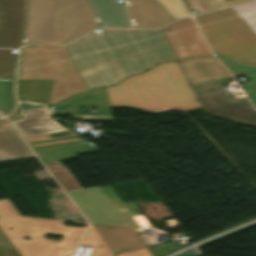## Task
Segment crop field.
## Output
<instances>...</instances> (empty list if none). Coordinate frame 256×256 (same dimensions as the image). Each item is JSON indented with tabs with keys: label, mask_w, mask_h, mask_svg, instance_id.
I'll list each match as a JSON object with an SVG mask.
<instances>
[{
	"label": "crop field",
	"mask_w": 256,
	"mask_h": 256,
	"mask_svg": "<svg viewBox=\"0 0 256 256\" xmlns=\"http://www.w3.org/2000/svg\"><path fill=\"white\" fill-rule=\"evenodd\" d=\"M79 107H96L97 115H111L106 87L73 96L50 108L52 113L79 114Z\"/></svg>",
	"instance_id": "d1516ede"
},
{
	"label": "crop field",
	"mask_w": 256,
	"mask_h": 256,
	"mask_svg": "<svg viewBox=\"0 0 256 256\" xmlns=\"http://www.w3.org/2000/svg\"><path fill=\"white\" fill-rule=\"evenodd\" d=\"M212 115H213V116H217V117H221V118H225V119H229V120H233V121H237V122H241V123H245V124H249V125L256 126V122L247 121V120H243V119H238V118H234V117H230V116L219 115V114H212Z\"/></svg>",
	"instance_id": "bd1437ed"
},
{
	"label": "crop field",
	"mask_w": 256,
	"mask_h": 256,
	"mask_svg": "<svg viewBox=\"0 0 256 256\" xmlns=\"http://www.w3.org/2000/svg\"><path fill=\"white\" fill-rule=\"evenodd\" d=\"M174 20L189 16L182 0H156Z\"/></svg>",
	"instance_id": "00972430"
},
{
	"label": "crop field",
	"mask_w": 256,
	"mask_h": 256,
	"mask_svg": "<svg viewBox=\"0 0 256 256\" xmlns=\"http://www.w3.org/2000/svg\"><path fill=\"white\" fill-rule=\"evenodd\" d=\"M68 194L90 223L130 226L100 187Z\"/></svg>",
	"instance_id": "5a996713"
},
{
	"label": "crop field",
	"mask_w": 256,
	"mask_h": 256,
	"mask_svg": "<svg viewBox=\"0 0 256 256\" xmlns=\"http://www.w3.org/2000/svg\"><path fill=\"white\" fill-rule=\"evenodd\" d=\"M0 115H4L3 112L0 110Z\"/></svg>",
	"instance_id": "0bd39190"
},
{
	"label": "crop field",
	"mask_w": 256,
	"mask_h": 256,
	"mask_svg": "<svg viewBox=\"0 0 256 256\" xmlns=\"http://www.w3.org/2000/svg\"><path fill=\"white\" fill-rule=\"evenodd\" d=\"M107 91L111 107L153 114L201 108L177 61L157 65L144 74L107 87Z\"/></svg>",
	"instance_id": "ac0d7876"
},
{
	"label": "crop field",
	"mask_w": 256,
	"mask_h": 256,
	"mask_svg": "<svg viewBox=\"0 0 256 256\" xmlns=\"http://www.w3.org/2000/svg\"><path fill=\"white\" fill-rule=\"evenodd\" d=\"M34 156L8 123L0 127V162Z\"/></svg>",
	"instance_id": "d9b57169"
},
{
	"label": "crop field",
	"mask_w": 256,
	"mask_h": 256,
	"mask_svg": "<svg viewBox=\"0 0 256 256\" xmlns=\"http://www.w3.org/2000/svg\"><path fill=\"white\" fill-rule=\"evenodd\" d=\"M80 243L94 245L89 256H113L115 254L94 226L88 227Z\"/></svg>",
	"instance_id": "bc2a9ffb"
},
{
	"label": "crop field",
	"mask_w": 256,
	"mask_h": 256,
	"mask_svg": "<svg viewBox=\"0 0 256 256\" xmlns=\"http://www.w3.org/2000/svg\"><path fill=\"white\" fill-rule=\"evenodd\" d=\"M222 8L224 7H228V6H232V5H236V4H240V3H244V2H248V1H252V0H216Z\"/></svg>",
	"instance_id": "d3111659"
},
{
	"label": "crop field",
	"mask_w": 256,
	"mask_h": 256,
	"mask_svg": "<svg viewBox=\"0 0 256 256\" xmlns=\"http://www.w3.org/2000/svg\"><path fill=\"white\" fill-rule=\"evenodd\" d=\"M101 25L86 0H29L23 44H66Z\"/></svg>",
	"instance_id": "34b2d1b8"
},
{
	"label": "crop field",
	"mask_w": 256,
	"mask_h": 256,
	"mask_svg": "<svg viewBox=\"0 0 256 256\" xmlns=\"http://www.w3.org/2000/svg\"><path fill=\"white\" fill-rule=\"evenodd\" d=\"M103 30L130 74H127L104 33L92 32L65 47L89 90L116 84L159 62L175 60L159 30Z\"/></svg>",
	"instance_id": "8a807250"
},
{
	"label": "crop field",
	"mask_w": 256,
	"mask_h": 256,
	"mask_svg": "<svg viewBox=\"0 0 256 256\" xmlns=\"http://www.w3.org/2000/svg\"><path fill=\"white\" fill-rule=\"evenodd\" d=\"M102 27L131 28V24L124 5L116 0H87ZM96 16V17H97Z\"/></svg>",
	"instance_id": "cbeb9de0"
},
{
	"label": "crop field",
	"mask_w": 256,
	"mask_h": 256,
	"mask_svg": "<svg viewBox=\"0 0 256 256\" xmlns=\"http://www.w3.org/2000/svg\"><path fill=\"white\" fill-rule=\"evenodd\" d=\"M53 177H55L65 192L80 190V186L68 172V170L61 166L59 162L45 164Z\"/></svg>",
	"instance_id": "214f88e0"
},
{
	"label": "crop field",
	"mask_w": 256,
	"mask_h": 256,
	"mask_svg": "<svg viewBox=\"0 0 256 256\" xmlns=\"http://www.w3.org/2000/svg\"><path fill=\"white\" fill-rule=\"evenodd\" d=\"M26 0H0V47L19 48Z\"/></svg>",
	"instance_id": "28ad6ade"
},
{
	"label": "crop field",
	"mask_w": 256,
	"mask_h": 256,
	"mask_svg": "<svg viewBox=\"0 0 256 256\" xmlns=\"http://www.w3.org/2000/svg\"><path fill=\"white\" fill-rule=\"evenodd\" d=\"M15 106L14 80H0V109L6 115L12 112Z\"/></svg>",
	"instance_id": "92a150f3"
},
{
	"label": "crop field",
	"mask_w": 256,
	"mask_h": 256,
	"mask_svg": "<svg viewBox=\"0 0 256 256\" xmlns=\"http://www.w3.org/2000/svg\"><path fill=\"white\" fill-rule=\"evenodd\" d=\"M233 76L244 73L252 83L243 84L245 92L256 106V66H247L237 61L218 57Z\"/></svg>",
	"instance_id": "4a817a6b"
},
{
	"label": "crop field",
	"mask_w": 256,
	"mask_h": 256,
	"mask_svg": "<svg viewBox=\"0 0 256 256\" xmlns=\"http://www.w3.org/2000/svg\"><path fill=\"white\" fill-rule=\"evenodd\" d=\"M116 256H153V255L148 251L147 248H144L140 250L120 253V254H117Z\"/></svg>",
	"instance_id": "eef30255"
},
{
	"label": "crop field",
	"mask_w": 256,
	"mask_h": 256,
	"mask_svg": "<svg viewBox=\"0 0 256 256\" xmlns=\"http://www.w3.org/2000/svg\"><path fill=\"white\" fill-rule=\"evenodd\" d=\"M33 105H34V107L44 106V105L35 104V103H33Z\"/></svg>",
	"instance_id": "028f5c9d"
},
{
	"label": "crop field",
	"mask_w": 256,
	"mask_h": 256,
	"mask_svg": "<svg viewBox=\"0 0 256 256\" xmlns=\"http://www.w3.org/2000/svg\"><path fill=\"white\" fill-rule=\"evenodd\" d=\"M190 10H197L198 13H204L221 7L215 0H185Z\"/></svg>",
	"instance_id": "4177f3b9"
},
{
	"label": "crop field",
	"mask_w": 256,
	"mask_h": 256,
	"mask_svg": "<svg viewBox=\"0 0 256 256\" xmlns=\"http://www.w3.org/2000/svg\"><path fill=\"white\" fill-rule=\"evenodd\" d=\"M95 227L115 253L140 249L146 246L132 228Z\"/></svg>",
	"instance_id": "5142ce71"
},
{
	"label": "crop field",
	"mask_w": 256,
	"mask_h": 256,
	"mask_svg": "<svg viewBox=\"0 0 256 256\" xmlns=\"http://www.w3.org/2000/svg\"><path fill=\"white\" fill-rule=\"evenodd\" d=\"M17 58L12 49H0V79H14Z\"/></svg>",
	"instance_id": "dafd665d"
},
{
	"label": "crop field",
	"mask_w": 256,
	"mask_h": 256,
	"mask_svg": "<svg viewBox=\"0 0 256 256\" xmlns=\"http://www.w3.org/2000/svg\"><path fill=\"white\" fill-rule=\"evenodd\" d=\"M23 118L15 121H23V120H31V119H37V116L35 114V111L33 108H26V109H19ZM12 121V122H15Z\"/></svg>",
	"instance_id": "730fd06b"
},
{
	"label": "crop field",
	"mask_w": 256,
	"mask_h": 256,
	"mask_svg": "<svg viewBox=\"0 0 256 256\" xmlns=\"http://www.w3.org/2000/svg\"><path fill=\"white\" fill-rule=\"evenodd\" d=\"M192 89L205 113H219L256 121V111L247 98L232 100L219 80L193 86Z\"/></svg>",
	"instance_id": "d8731c3e"
},
{
	"label": "crop field",
	"mask_w": 256,
	"mask_h": 256,
	"mask_svg": "<svg viewBox=\"0 0 256 256\" xmlns=\"http://www.w3.org/2000/svg\"><path fill=\"white\" fill-rule=\"evenodd\" d=\"M71 117H79L81 120L114 121L113 116H83V115H71Z\"/></svg>",
	"instance_id": "ae1a2a85"
},
{
	"label": "crop field",
	"mask_w": 256,
	"mask_h": 256,
	"mask_svg": "<svg viewBox=\"0 0 256 256\" xmlns=\"http://www.w3.org/2000/svg\"><path fill=\"white\" fill-rule=\"evenodd\" d=\"M178 62L191 86L230 76L215 58Z\"/></svg>",
	"instance_id": "22f410ed"
},
{
	"label": "crop field",
	"mask_w": 256,
	"mask_h": 256,
	"mask_svg": "<svg viewBox=\"0 0 256 256\" xmlns=\"http://www.w3.org/2000/svg\"><path fill=\"white\" fill-rule=\"evenodd\" d=\"M5 120H6L5 117L4 119H0V124H2Z\"/></svg>",
	"instance_id": "e1f06a70"
},
{
	"label": "crop field",
	"mask_w": 256,
	"mask_h": 256,
	"mask_svg": "<svg viewBox=\"0 0 256 256\" xmlns=\"http://www.w3.org/2000/svg\"><path fill=\"white\" fill-rule=\"evenodd\" d=\"M63 224L61 220L21 216L8 199L0 200V227L21 256L72 254L84 228ZM45 234L63 236L62 242L46 239ZM25 236L30 240H24Z\"/></svg>",
	"instance_id": "412701ff"
},
{
	"label": "crop field",
	"mask_w": 256,
	"mask_h": 256,
	"mask_svg": "<svg viewBox=\"0 0 256 256\" xmlns=\"http://www.w3.org/2000/svg\"><path fill=\"white\" fill-rule=\"evenodd\" d=\"M18 79L54 80L50 105L88 91L64 47L28 46L22 50Z\"/></svg>",
	"instance_id": "f4fd0767"
},
{
	"label": "crop field",
	"mask_w": 256,
	"mask_h": 256,
	"mask_svg": "<svg viewBox=\"0 0 256 256\" xmlns=\"http://www.w3.org/2000/svg\"><path fill=\"white\" fill-rule=\"evenodd\" d=\"M195 19L213 52L256 65V33L232 8Z\"/></svg>",
	"instance_id": "dd49c442"
},
{
	"label": "crop field",
	"mask_w": 256,
	"mask_h": 256,
	"mask_svg": "<svg viewBox=\"0 0 256 256\" xmlns=\"http://www.w3.org/2000/svg\"><path fill=\"white\" fill-rule=\"evenodd\" d=\"M161 31L176 59L212 56L192 18L177 21Z\"/></svg>",
	"instance_id": "3316defc"
},
{
	"label": "crop field",
	"mask_w": 256,
	"mask_h": 256,
	"mask_svg": "<svg viewBox=\"0 0 256 256\" xmlns=\"http://www.w3.org/2000/svg\"><path fill=\"white\" fill-rule=\"evenodd\" d=\"M0 242L2 243L4 249L13 248V244L9 241L3 231L0 229Z\"/></svg>",
	"instance_id": "750c4746"
},
{
	"label": "crop field",
	"mask_w": 256,
	"mask_h": 256,
	"mask_svg": "<svg viewBox=\"0 0 256 256\" xmlns=\"http://www.w3.org/2000/svg\"><path fill=\"white\" fill-rule=\"evenodd\" d=\"M233 9L256 32V2L234 7Z\"/></svg>",
	"instance_id": "a9b5d70f"
},
{
	"label": "crop field",
	"mask_w": 256,
	"mask_h": 256,
	"mask_svg": "<svg viewBox=\"0 0 256 256\" xmlns=\"http://www.w3.org/2000/svg\"><path fill=\"white\" fill-rule=\"evenodd\" d=\"M7 117L9 118V120H11V119L19 118V115H18L17 111H15V112H13L11 115H9Z\"/></svg>",
	"instance_id": "d32e631a"
},
{
	"label": "crop field",
	"mask_w": 256,
	"mask_h": 256,
	"mask_svg": "<svg viewBox=\"0 0 256 256\" xmlns=\"http://www.w3.org/2000/svg\"><path fill=\"white\" fill-rule=\"evenodd\" d=\"M52 81L18 80L20 101H32L49 106L48 94Z\"/></svg>",
	"instance_id": "733c2abd"
},
{
	"label": "crop field",
	"mask_w": 256,
	"mask_h": 256,
	"mask_svg": "<svg viewBox=\"0 0 256 256\" xmlns=\"http://www.w3.org/2000/svg\"><path fill=\"white\" fill-rule=\"evenodd\" d=\"M37 120L13 123L22 136L65 131L55 122L58 118H50L46 108H34ZM43 163L76 158L78 155L98 152L91 143L37 150L35 151Z\"/></svg>",
	"instance_id": "e52e79f7"
},
{
	"label": "crop field",
	"mask_w": 256,
	"mask_h": 256,
	"mask_svg": "<svg viewBox=\"0 0 256 256\" xmlns=\"http://www.w3.org/2000/svg\"><path fill=\"white\" fill-rule=\"evenodd\" d=\"M0 256H20L16 248L0 250Z\"/></svg>",
	"instance_id": "1d83c4d3"
},
{
	"label": "crop field",
	"mask_w": 256,
	"mask_h": 256,
	"mask_svg": "<svg viewBox=\"0 0 256 256\" xmlns=\"http://www.w3.org/2000/svg\"><path fill=\"white\" fill-rule=\"evenodd\" d=\"M33 107L32 103H20L18 108Z\"/></svg>",
	"instance_id": "5866460e"
},
{
	"label": "crop field",
	"mask_w": 256,
	"mask_h": 256,
	"mask_svg": "<svg viewBox=\"0 0 256 256\" xmlns=\"http://www.w3.org/2000/svg\"><path fill=\"white\" fill-rule=\"evenodd\" d=\"M199 255V253H197L194 249L188 251V252H185L183 254H180L178 256H197Z\"/></svg>",
	"instance_id": "120bbe31"
}]
</instances>
